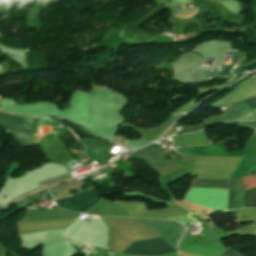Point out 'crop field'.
Wrapping results in <instances>:
<instances>
[{
  "mask_svg": "<svg viewBox=\"0 0 256 256\" xmlns=\"http://www.w3.org/2000/svg\"><path fill=\"white\" fill-rule=\"evenodd\" d=\"M19 164L18 163H13L11 164L9 170L7 171V176H10L17 168H18Z\"/></svg>",
  "mask_w": 256,
  "mask_h": 256,
  "instance_id": "13",
  "label": "crop field"
},
{
  "mask_svg": "<svg viewBox=\"0 0 256 256\" xmlns=\"http://www.w3.org/2000/svg\"><path fill=\"white\" fill-rule=\"evenodd\" d=\"M130 156L135 159H142L150 166L172 165L159 151L149 146L130 154Z\"/></svg>",
  "mask_w": 256,
  "mask_h": 256,
  "instance_id": "7",
  "label": "crop field"
},
{
  "mask_svg": "<svg viewBox=\"0 0 256 256\" xmlns=\"http://www.w3.org/2000/svg\"><path fill=\"white\" fill-rule=\"evenodd\" d=\"M221 256H241L239 255L237 252H234L232 250H227L224 254H222Z\"/></svg>",
  "mask_w": 256,
  "mask_h": 256,
  "instance_id": "14",
  "label": "crop field"
},
{
  "mask_svg": "<svg viewBox=\"0 0 256 256\" xmlns=\"http://www.w3.org/2000/svg\"><path fill=\"white\" fill-rule=\"evenodd\" d=\"M97 199H98V195L94 190H92V191H87L83 193H78L74 197L58 200L56 202L58 206H60L63 209L82 212L88 207H90L91 205H93L97 201Z\"/></svg>",
  "mask_w": 256,
  "mask_h": 256,
  "instance_id": "4",
  "label": "crop field"
},
{
  "mask_svg": "<svg viewBox=\"0 0 256 256\" xmlns=\"http://www.w3.org/2000/svg\"><path fill=\"white\" fill-rule=\"evenodd\" d=\"M162 246H170L162 237L135 241L132 242L129 247L137 248H158ZM176 252V250L171 247H163L159 249H136V248H127L123 253L125 254H134L142 256H158Z\"/></svg>",
  "mask_w": 256,
  "mask_h": 256,
  "instance_id": "1",
  "label": "crop field"
},
{
  "mask_svg": "<svg viewBox=\"0 0 256 256\" xmlns=\"http://www.w3.org/2000/svg\"><path fill=\"white\" fill-rule=\"evenodd\" d=\"M246 102L251 106L252 110L256 108V98L246 100Z\"/></svg>",
  "mask_w": 256,
  "mask_h": 256,
  "instance_id": "15",
  "label": "crop field"
},
{
  "mask_svg": "<svg viewBox=\"0 0 256 256\" xmlns=\"http://www.w3.org/2000/svg\"><path fill=\"white\" fill-rule=\"evenodd\" d=\"M191 186L228 188V180L193 179Z\"/></svg>",
  "mask_w": 256,
  "mask_h": 256,
  "instance_id": "11",
  "label": "crop field"
},
{
  "mask_svg": "<svg viewBox=\"0 0 256 256\" xmlns=\"http://www.w3.org/2000/svg\"><path fill=\"white\" fill-rule=\"evenodd\" d=\"M208 126H210V125H208V124H206V123H202L201 125H198V126H193V127H184L185 128V130L183 131L182 130V128L180 129V130H182V131H180L179 133H181V134H183V133H191V132H196V131H199V130H201V129H203V128H206V127H208ZM176 134H178V133H176ZM175 134V135H176Z\"/></svg>",
  "mask_w": 256,
  "mask_h": 256,
  "instance_id": "12",
  "label": "crop field"
},
{
  "mask_svg": "<svg viewBox=\"0 0 256 256\" xmlns=\"http://www.w3.org/2000/svg\"><path fill=\"white\" fill-rule=\"evenodd\" d=\"M256 140H254L253 138L250 139L247 147H246V150H245V157L243 159V161L241 162V164L236 168V170L233 172V174L231 175L230 179L232 178H238V177H243V176H246L249 168H250V162H249V158H248V150L249 148L253 145V143L255 142Z\"/></svg>",
  "mask_w": 256,
  "mask_h": 256,
  "instance_id": "10",
  "label": "crop field"
},
{
  "mask_svg": "<svg viewBox=\"0 0 256 256\" xmlns=\"http://www.w3.org/2000/svg\"><path fill=\"white\" fill-rule=\"evenodd\" d=\"M80 141L86 146L87 151L92 158L101 166L113 155L109 152L114 145L113 143L93 139H80Z\"/></svg>",
  "mask_w": 256,
  "mask_h": 256,
  "instance_id": "5",
  "label": "crop field"
},
{
  "mask_svg": "<svg viewBox=\"0 0 256 256\" xmlns=\"http://www.w3.org/2000/svg\"><path fill=\"white\" fill-rule=\"evenodd\" d=\"M158 232L164 239L176 249V244L183 232V225L175 222L145 221L140 220Z\"/></svg>",
  "mask_w": 256,
  "mask_h": 256,
  "instance_id": "3",
  "label": "crop field"
},
{
  "mask_svg": "<svg viewBox=\"0 0 256 256\" xmlns=\"http://www.w3.org/2000/svg\"><path fill=\"white\" fill-rule=\"evenodd\" d=\"M250 111H252L250 107L244 101H242L240 103L228 107L221 116H216L205 121L210 124H215L228 120H234L245 115Z\"/></svg>",
  "mask_w": 256,
  "mask_h": 256,
  "instance_id": "8",
  "label": "crop field"
},
{
  "mask_svg": "<svg viewBox=\"0 0 256 256\" xmlns=\"http://www.w3.org/2000/svg\"><path fill=\"white\" fill-rule=\"evenodd\" d=\"M176 150H185V151H194V155H206V156H231V157H243L244 153L242 152H231L226 153L224 147L221 146H206V147H197V148H188V149H176Z\"/></svg>",
  "mask_w": 256,
  "mask_h": 256,
  "instance_id": "9",
  "label": "crop field"
},
{
  "mask_svg": "<svg viewBox=\"0 0 256 256\" xmlns=\"http://www.w3.org/2000/svg\"><path fill=\"white\" fill-rule=\"evenodd\" d=\"M66 239V238H65Z\"/></svg>",
  "mask_w": 256,
  "mask_h": 256,
  "instance_id": "16",
  "label": "crop field"
},
{
  "mask_svg": "<svg viewBox=\"0 0 256 256\" xmlns=\"http://www.w3.org/2000/svg\"><path fill=\"white\" fill-rule=\"evenodd\" d=\"M230 194L228 209L249 207L250 191L241 187V178L229 180ZM250 207H256V189L251 190Z\"/></svg>",
  "mask_w": 256,
  "mask_h": 256,
  "instance_id": "2",
  "label": "crop field"
},
{
  "mask_svg": "<svg viewBox=\"0 0 256 256\" xmlns=\"http://www.w3.org/2000/svg\"><path fill=\"white\" fill-rule=\"evenodd\" d=\"M3 122L8 125H13V126H19V127H24V128H29L31 129V124H32V119L29 118H23L11 114H3ZM7 127L13 131L23 143H26V138L31 136V130L29 129H24V128H18V127H13V126H8Z\"/></svg>",
  "mask_w": 256,
  "mask_h": 256,
  "instance_id": "6",
  "label": "crop field"
}]
</instances>
